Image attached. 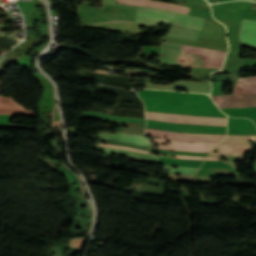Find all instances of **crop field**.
Wrapping results in <instances>:
<instances>
[{"label": "crop field", "instance_id": "16", "mask_svg": "<svg viewBox=\"0 0 256 256\" xmlns=\"http://www.w3.org/2000/svg\"><path fill=\"white\" fill-rule=\"evenodd\" d=\"M251 145H223L219 144L218 148L220 152H240L246 153Z\"/></svg>", "mask_w": 256, "mask_h": 256}, {"label": "crop field", "instance_id": "15", "mask_svg": "<svg viewBox=\"0 0 256 256\" xmlns=\"http://www.w3.org/2000/svg\"><path fill=\"white\" fill-rule=\"evenodd\" d=\"M224 113L232 117H249L253 116L252 108H231L221 109Z\"/></svg>", "mask_w": 256, "mask_h": 256}, {"label": "crop field", "instance_id": "2", "mask_svg": "<svg viewBox=\"0 0 256 256\" xmlns=\"http://www.w3.org/2000/svg\"><path fill=\"white\" fill-rule=\"evenodd\" d=\"M175 46L186 55L202 60V67L222 68L226 52L178 44ZM175 46L162 44L157 61L172 66L201 67L200 60L186 56ZM179 58H185L187 62L180 63Z\"/></svg>", "mask_w": 256, "mask_h": 256}, {"label": "crop field", "instance_id": "21", "mask_svg": "<svg viewBox=\"0 0 256 256\" xmlns=\"http://www.w3.org/2000/svg\"><path fill=\"white\" fill-rule=\"evenodd\" d=\"M209 156H239V157H244V154L211 153Z\"/></svg>", "mask_w": 256, "mask_h": 256}, {"label": "crop field", "instance_id": "6", "mask_svg": "<svg viewBox=\"0 0 256 256\" xmlns=\"http://www.w3.org/2000/svg\"><path fill=\"white\" fill-rule=\"evenodd\" d=\"M155 141L165 142L171 141V145L159 146V148L174 149L180 151H192V152H211L213 147L217 143H194V142H183V141H172L160 138H154Z\"/></svg>", "mask_w": 256, "mask_h": 256}, {"label": "crop field", "instance_id": "8", "mask_svg": "<svg viewBox=\"0 0 256 256\" xmlns=\"http://www.w3.org/2000/svg\"><path fill=\"white\" fill-rule=\"evenodd\" d=\"M118 2L123 4H128V5H135V6L163 8V9L177 11L185 14H187L190 9L184 6H179L175 4H169V3L154 2L150 0H118Z\"/></svg>", "mask_w": 256, "mask_h": 256}, {"label": "crop field", "instance_id": "9", "mask_svg": "<svg viewBox=\"0 0 256 256\" xmlns=\"http://www.w3.org/2000/svg\"><path fill=\"white\" fill-rule=\"evenodd\" d=\"M0 114H19L33 116L34 112L24 110L12 98L0 96Z\"/></svg>", "mask_w": 256, "mask_h": 256}, {"label": "crop field", "instance_id": "24", "mask_svg": "<svg viewBox=\"0 0 256 256\" xmlns=\"http://www.w3.org/2000/svg\"><path fill=\"white\" fill-rule=\"evenodd\" d=\"M255 170H256V165H255Z\"/></svg>", "mask_w": 256, "mask_h": 256}, {"label": "crop field", "instance_id": "14", "mask_svg": "<svg viewBox=\"0 0 256 256\" xmlns=\"http://www.w3.org/2000/svg\"><path fill=\"white\" fill-rule=\"evenodd\" d=\"M246 137L251 138L256 143V135H227L221 142L224 144H250Z\"/></svg>", "mask_w": 256, "mask_h": 256}, {"label": "crop field", "instance_id": "17", "mask_svg": "<svg viewBox=\"0 0 256 256\" xmlns=\"http://www.w3.org/2000/svg\"><path fill=\"white\" fill-rule=\"evenodd\" d=\"M166 168H170V171H167ZM199 168H189V167H178V169H172V166L165 165V170L167 172H181V173H188V174H194L198 171Z\"/></svg>", "mask_w": 256, "mask_h": 256}, {"label": "crop field", "instance_id": "13", "mask_svg": "<svg viewBox=\"0 0 256 256\" xmlns=\"http://www.w3.org/2000/svg\"><path fill=\"white\" fill-rule=\"evenodd\" d=\"M147 123L157 124V125H164V126H170V127L191 128V129L226 130V127H222V126L182 125V124H178V123H166V122L153 121V120H147Z\"/></svg>", "mask_w": 256, "mask_h": 256}, {"label": "crop field", "instance_id": "10", "mask_svg": "<svg viewBox=\"0 0 256 256\" xmlns=\"http://www.w3.org/2000/svg\"><path fill=\"white\" fill-rule=\"evenodd\" d=\"M239 37L242 42L256 45V21L242 20Z\"/></svg>", "mask_w": 256, "mask_h": 256}, {"label": "crop field", "instance_id": "5", "mask_svg": "<svg viewBox=\"0 0 256 256\" xmlns=\"http://www.w3.org/2000/svg\"><path fill=\"white\" fill-rule=\"evenodd\" d=\"M148 136H156L165 139L194 141V142H219L225 135H208V134H185L177 132H168L161 130L147 129Z\"/></svg>", "mask_w": 256, "mask_h": 256}, {"label": "crop field", "instance_id": "20", "mask_svg": "<svg viewBox=\"0 0 256 256\" xmlns=\"http://www.w3.org/2000/svg\"><path fill=\"white\" fill-rule=\"evenodd\" d=\"M179 1H185V2H190V3L202 5V6H205V7H209L208 3L205 0H179Z\"/></svg>", "mask_w": 256, "mask_h": 256}, {"label": "crop field", "instance_id": "18", "mask_svg": "<svg viewBox=\"0 0 256 256\" xmlns=\"http://www.w3.org/2000/svg\"><path fill=\"white\" fill-rule=\"evenodd\" d=\"M83 115H96V116H100V117H105V118H111V119H118V120H125V121H134V122H141L143 120H139V119H127V118H118V117H112V116H108L105 115L103 113H96V112H83Z\"/></svg>", "mask_w": 256, "mask_h": 256}, {"label": "crop field", "instance_id": "7", "mask_svg": "<svg viewBox=\"0 0 256 256\" xmlns=\"http://www.w3.org/2000/svg\"><path fill=\"white\" fill-rule=\"evenodd\" d=\"M228 134H256V128L249 119H228Z\"/></svg>", "mask_w": 256, "mask_h": 256}, {"label": "crop field", "instance_id": "4", "mask_svg": "<svg viewBox=\"0 0 256 256\" xmlns=\"http://www.w3.org/2000/svg\"><path fill=\"white\" fill-rule=\"evenodd\" d=\"M147 119L162 120L166 122L214 124L226 126L227 118H212L202 116L177 115L158 112H146Z\"/></svg>", "mask_w": 256, "mask_h": 256}, {"label": "crop field", "instance_id": "11", "mask_svg": "<svg viewBox=\"0 0 256 256\" xmlns=\"http://www.w3.org/2000/svg\"><path fill=\"white\" fill-rule=\"evenodd\" d=\"M99 135L101 138H105V139L119 140V141L146 145V146L149 145L146 137H142L138 135H130V134H122V133H117L115 135L99 133Z\"/></svg>", "mask_w": 256, "mask_h": 256}, {"label": "crop field", "instance_id": "3", "mask_svg": "<svg viewBox=\"0 0 256 256\" xmlns=\"http://www.w3.org/2000/svg\"><path fill=\"white\" fill-rule=\"evenodd\" d=\"M211 97L219 108L256 107V77L238 79L232 96Z\"/></svg>", "mask_w": 256, "mask_h": 256}, {"label": "crop field", "instance_id": "25", "mask_svg": "<svg viewBox=\"0 0 256 256\" xmlns=\"http://www.w3.org/2000/svg\"><path fill=\"white\" fill-rule=\"evenodd\" d=\"M256 1V0H255Z\"/></svg>", "mask_w": 256, "mask_h": 256}, {"label": "crop field", "instance_id": "12", "mask_svg": "<svg viewBox=\"0 0 256 256\" xmlns=\"http://www.w3.org/2000/svg\"><path fill=\"white\" fill-rule=\"evenodd\" d=\"M96 147H97L98 151L110 152L113 154L129 156V157L138 158V159H142V160H148V161H154V162L158 161V159L153 156L138 153V152H132V151H126V150H120V149H114V148H107V147H100V146H96Z\"/></svg>", "mask_w": 256, "mask_h": 256}, {"label": "crop field", "instance_id": "19", "mask_svg": "<svg viewBox=\"0 0 256 256\" xmlns=\"http://www.w3.org/2000/svg\"><path fill=\"white\" fill-rule=\"evenodd\" d=\"M99 145H101V146H107V147H114V148L127 149V150H133V151H139V152H144V153L150 154L149 152H146V151H142V150H138V149H133V148H128V147H123V146H116V145H109V144H102V143H99Z\"/></svg>", "mask_w": 256, "mask_h": 256}, {"label": "crop field", "instance_id": "22", "mask_svg": "<svg viewBox=\"0 0 256 256\" xmlns=\"http://www.w3.org/2000/svg\"><path fill=\"white\" fill-rule=\"evenodd\" d=\"M178 158H187V159H201L204 160L205 157H195V156H185V155H176Z\"/></svg>", "mask_w": 256, "mask_h": 256}, {"label": "crop field", "instance_id": "23", "mask_svg": "<svg viewBox=\"0 0 256 256\" xmlns=\"http://www.w3.org/2000/svg\"><path fill=\"white\" fill-rule=\"evenodd\" d=\"M206 160H219L218 157H207Z\"/></svg>", "mask_w": 256, "mask_h": 256}, {"label": "crop field", "instance_id": "1", "mask_svg": "<svg viewBox=\"0 0 256 256\" xmlns=\"http://www.w3.org/2000/svg\"><path fill=\"white\" fill-rule=\"evenodd\" d=\"M83 26L123 21L136 23L137 7L103 3V9L78 5ZM205 19L168 10L138 7L137 23L158 25L169 23L202 28Z\"/></svg>", "mask_w": 256, "mask_h": 256}]
</instances>
